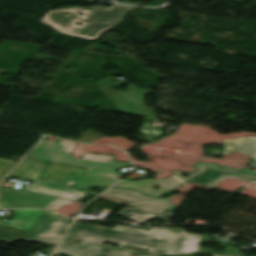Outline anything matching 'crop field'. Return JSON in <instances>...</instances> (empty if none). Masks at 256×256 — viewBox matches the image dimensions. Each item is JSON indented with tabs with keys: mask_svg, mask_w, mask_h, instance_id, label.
Returning <instances> with one entry per match:
<instances>
[{
	"mask_svg": "<svg viewBox=\"0 0 256 256\" xmlns=\"http://www.w3.org/2000/svg\"><path fill=\"white\" fill-rule=\"evenodd\" d=\"M200 239L201 235L185 233L182 228L150 227L147 231L118 225L107 229L74 222L61 244L83 249L89 243L105 246L101 242L109 241L119 243L123 250L181 255L198 253Z\"/></svg>",
	"mask_w": 256,
	"mask_h": 256,
	"instance_id": "crop-field-1",
	"label": "crop field"
},
{
	"mask_svg": "<svg viewBox=\"0 0 256 256\" xmlns=\"http://www.w3.org/2000/svg\"><path fill=\"white\" fill-rule=\"evenodd\" d=\"M74 144L65 140L60 143L42 140L27 158L86 168L73 185L76 189L91 185L111 186L120 176L114 170L129 165L114 161L113 155L85 153L79 160L70 154Z\"/></svg>",
	"mask_w": 256,
	"mask_h": 256,
	"instance_id": "crop-field-2",
	"label": "crop field"
},
{
	"mask_svg": "<svg viewBox=\"0 0 256 256\" xmlns=\"http://www.w3.org/2000/svg\"><path fill=\"white\" fill-rule=\"evenodd\" d=\"M138 8L120 4H114L110 8L99 6L88 8L69 7L48 11L40 22L64 34L96 40L102 33ZM77 12L85 14L81 16ZM75 21L83 24L76 26Z\"/></svg>",
	"mask_w": 256,
	"mask_h": 256,
	"instance_id": "crop-field-3",
	"label": "crop field"
},
{
	"mask_svg": "<svg viewBox=\"0 0 256 256\" xmlns=\"http://www.w3.org/2000/svg\"><path fill=\"white\" fill-rule=\"evenodd\" d=\"M71 222L72 219L44 212L29 231L0 226V241L10 243L15 240H32L57 245Z\"/></svg>",
	"mask_w": 256,
	"mask_h": 256,
	"instance_id": "crop-field-4",
	"label": "crop field"
},
{
	"mask_svg": "<svg viewBox=\"0 0 256 256\" xmlns=\"http://www.w3.org/2000/svg\"><path fill=\"white\" fill-rule=\"evenodd\" d=\"M46 165L45 162L25 159L8 176L34 180L35 183L24 186L26 192L46 194L71 201H76L86 195L69 187L37 180Z\"/></svg>",
	"mask_w": 256,
	"mask_h": 256,
	"instance_id": "crop-field-5",
	"label": "crop field"
},
{
	"mask_svg": "<svg viewBox=\"0 0 256 256\" xmlns=\"http://www.w3.org/2000/svg\"><path fill=\"white\" fill-rule=\"evenodd\" d=\"M112 82L102 80L99 87L111 100L117 109L129 114L157 118L155 113L143 105V98L148 91L138 88L135 85L128 84V91H118L110 89Z\"/></svg>",
	"mask_w": 256,
	"mask_h": 256,
	"instance_id": "crop-field-6",
	"label": "crop field"
},
{
	"mask_svg": "<svg viewBox=\"0 0 256 256\" xmlns=\"http://www.w3.org/2000/svg\"><path fill=\"white\" fill-rule=\"evenodd\" d=\"M70 201L0 187V206L4 208H41L54 212Z\"/></svg>",
	"mask_w": 256,
	"mask_h": 256,
	"instance_id": "crop-field-7",
	"label": "crop field"
},
{
	"mask_svg": "<svg viewBox=\"0 0 256 256\" xmlns=\"http://www.w3.org/2000/svg\"><path fill=\"white\" fill-rule=\"evenodd\" d=\"M105 194L134 202L129 205L144 212L160 214L172 203L168 199H157L139 194L133 190L111 189Z\"/></svg>",
	"mask_w": 256,
	"mask_h": 256,
	"instance_id": "crop-field-8",
	"label": "crop field"
},
{
	"mask_svg": "<svg viewBox=\"0 0 256 256\" xmlns=\"http://www.w3.org/2000/svg\"><path fill=\"white\" fill-rule=\"evenodd\" d=\"M183 182L185 181L182 178L176 175H173L166 179H146V180H137V182L120 180L115 184L114 187L131 188L138 192L144 193L146 195L159 196ZM154 185L160 186L162 188L159 190H156L152 188Z\"/></svg>",
	"mask_w": 256,
	"mask_h": 256,
	"instance_id": "crop-field-9",
	"label": "crop field"
},
{
	"mask_svg": "<svg viewBox=\"0 0 256 256\" xmlns=\"http://www.w3.org/2000/svg\"><path fill=\"white\" fill-rule=\"evenodd\" d=\"M83 171L82 168L49 163L39 179H47L71 187Z\"/></svg>",
	"mask_w": 256,
	"mask_h": 256,
	"instance_id": "crop-field-10",
	"label": "crop field"
},
{
	"mask_svg": "<svg viewBox=\"0 0 256 256\" xmlns=\"http://www.w3.org/2000/svg\"><path fill=\"white\" fill-rule=\"evenodd\" d=\"M61 252L67 253L71 256H152L113 250L95 245H89L85 250L59 246L55 254H59Z\"/></svg>",
	"mask_w": 256,
	"mask_h": 256,
	"instance_id": "crop-field-11",
	"label": "crop field"
},
{
	"mask_svg": "<svg viewBox=\"0 0 256 256\" xmlns=\"http://www.w3.org/2000/svg\"><path fill=\"white\" fill-rule=\"evenodd\" d=\"M193 167L195 168H200L199 170L193 172V173H187V172H181V171H174V173L180 177H182L183 179H185L186 181L211 169V170H215V171H221V172H225V173H229V174H233L235 176H239V177H243V178H247V179H256V171H252V170H247V169H243V170H239V169H234V168H230V167H225V166H221V165H217V164H205V163H201L198 162L196 165H194ZM180 173H184L187 175H192L189 178H184L183 176L180 175ZM249 173H252L249 174Z\"/></svg>",
	"mask_w": 256,
	"mask_h": 256,
	"instance_id": "crop-field-12",
	"label": "crop field"
},
{
	"mask_svg": "<svg viewBox=\"0 0 256 256\" xmlns=\"http://www.w3.org/2000/svg\"><path fill=\"white\" fill-rule=\"evenodd\" d=\"M222 143L223 155L228 153V150L238 151L242 154L253 157L256 161V138L247 137H236L235 139H224ZM226 144V146H224Z\"/></svg>",
	"mask_w": 256,
	"mask_h": 256,
	"instance_id": "crop-field-13",
	"label": "crop field"
},
{
	"mask_svg": "<svg viewBox=\"0 0 256 256\" xmlns=\"http://www.w3.org/2000/svg\"><path fill=\"white\" fill-rule=\"evenodd\" d=\"M14 212V223L1 221L3 217L0 216V225L29 230L36 222L38 217L44 212L40 210H6Z\"/></svg>",
	"mask_w": 256,
	"mask_h": 256,
	"instance_id": "crop-field-14",
	"label": "crop field"
},
{
	"mask_svg": "<svg viewBox=\"0 0 256 256\" xmlns=\"http://www.w3.org/2000/svg\"><path fill=\"white\" fill-rule=\"evenodd\" d=\"M226 177H228V175H226V174L208 171V172L198 176L197 178L193 179L189 183L195 182V183H199L204 186L212 188ZM235 178H237V177H235ZM239 179H241V178H239ZM243 180H246V179H243ZM247 181H250V180H247ZM251 182L256 183V181H251Z\"/></svg>",
	"mask_w": 256,
	"mask_h": 256,
	"instance_id": "crop-field-15",
	"label": "crop field"
},
{
	"mask_svg": "<svg viewBox=\"0 0 256 256\" xmlns=\"http://www.w3.org/2000/svg\"><path fill=\"white\" fill-rule=\"evenodd\" d=\"M118 214L121 216L127 217L135 222H145V221L155 217V215L147 214V213L141 212V211L133 209V208L131 209L129 207L125 208L123 211H121ZM131 215H133V217H131Z\"/></svg>",
	"mask_w": 256,
	"mask_h": 256,
	"instance_id": "crop-field-16",
	"label": "crop field"
},
{
	"mask_svg": "<svg viewBox=\"0 0 256 256\" xmlns=\"http://www.w3.org/2000/svg\"><path fill=\"white\" fill-rule=\"evenodd\" d=\"M79 135H81L82 137L79 138L78 140L79 141H84V142H87V143H90V142H92V141H94V140L103 136V135H101V134H99V133H97L93 130H90V129H88L87 131H85V132H83Z\"/></svg>",
	"mask_w": 256,
	"mask_h": 256,
	"instance_id": "crop-field-17",
	"label": "crop field"
},
{
	"mask_svg": "<svg viewBox=\"0 0 256 256\" xmlns=\"http://www.w3.org/2000/svg\"><path fill=\"white\" fill-rule=\"evenodd\" d=\"M16 164L17 163L15 162L0 160V181L4 177V175Z\"/></svg>",
	"mask_w": 256,
	"mask_h": 256,
	"instance_id": "crop-field-18",
	"label": "crop field"
},
{
	"mask_svg": "<svg viewBox=\"0 0 256 256\" xmlns=\"http://www.w3.org/2000/svg\"><path fill=\"white\" fill-rule=\"evenodd\" d=\"M212 256H220V255H212Z\"/></svg>",
	"mask_w": 256,
	"mask_h": 256,
	"instance_id": "crop-field-19",
	"label": "crop field"
}]
</instances>
